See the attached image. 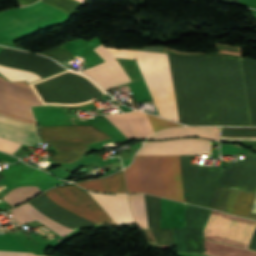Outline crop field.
<instances>
[{
  "instance_id": "obj_8",
  "label": "crop field",
  "mask_w": 256,
  "mask_h": 256,
  "mask_svg": "<svg viewBox=\"0 0 256 256\" xmlns=\"http://www.w3.org/2000/svg\"><path fill=\"white\" fill-rule=\"evenodd\" d=\"M41 105L32 90L0 80V112L35 123L30 106Z\"/></svg>"
},
{
  "instance_id": "obj_1",
  "label": "crop field",
  "mask_w": 256,
  "mask_h": 256,
  "mask_svg": "<svg viewBox=\"0 0 256 256\" xmlns=\"http://www.w3.org/2000/svg\"><path fill=\"white\" fill-rule=\"evenodd\" d=\"M137 59L162 117L188 125H251L238 57L175 55L106 48Z\"/></svg>"
},
{
  "instance_id": "obj_19",
  "label": "crop field",
  "mask_w": 256,
  "mask_h": 256,
  "mask_svg": "<svg viewBox=\"0 0 256 256\" xmlns=\"http://www.w3.org/2000/svg\"><path fill=\"white\" fill-rule=\"evenodd\" d=\"M252 125H256V62L241 58Z\"/></svg>"
},
{
  "instance_id": "obj_22",
  "label": "crop field",
  "mask_w": 256,
  "mask_h": 256,
  "mask_svg": "<svg viewBox=\"0 0 256 256\" xmlns=\"http://www.w3.org/2000/svg\"><path fill=\"white\" fill-rule=\"evenodd\" d=\"M129 198L139 228H148L143 194L129 195Z\"/></svg>"
},
{
  "instance_id": "obj_17",
  "label": "crop field",
  "mask_w": 256,
  "mask_h": 256,
  "mask_svg": "<svg viewBox=\"0 0 256 256\" xmlns=\"http://www.w3.org/2000/svg\"><path fill=\"white\" fill-rule=\"evenodd\" d=\"M219 132V127H182L167 129L160 133L153 134L148 139H169L184 136H196L218 141Z\"/></svg>"
},
{
  "instance_id": "obj_11",
  "label": "crop field",
  "mask_w": 256,
  "mask_h": 256,
  "mask_svg": "<svg viewBox=\"0 0 256 256\" xmlns=\"http://www.w3.org/2000/svg\"><path fill=\"white\" fill-rule=\"evenodd\" d=\"M105 117L128 139L147 137L154 133L147 115L137 110Z\"/></svg>"
},
{
  "instance_id": "obj_12",
  "label": "crop field",
  "mask_w": 256,
  "mask_h": 256,
  "mask_svg": "<svg viewBox=\"0 0 256 256\" xmlns=\"http://www.w3.org/2000/svg\"><path fill=\"white\" fill-rule=\"evenodd\" d=\"M0 137L30 146L38 141L35 125L3 114H0Z\"/></svg>"
},
{
  "instance_id": "obj_25",
  "label": "crop field",
  "mask_w": 256,
  "mask_h": 256,
  "mask_svg": "<svg viewBox=\"0 0 256 256\" xmlns=\"http://www.w3.org/2000/svg\"><path fill=\"white\" fill-rule=\"evenodd\" d=\"M229 190L227 188L216 187L210 208L223 211Z\"/></svg>"
},
{
  "instance_id": "obj_27",
  "label": "crop field",
  "mask_w": 256,
  "mask_h": 256,
  "mask_svg": "<svg viewBox=\"0 0 256 256\" xmlns=\"http://www.w3.org/2000/svg\"><path fill=\"white\" fill-rule=\"evenodd\" d=\"M148 117L150 119V122H151L152 127H153L155 132L159 131V130L166 129V128H170V127L183 126L181 124L174 123V122H171V121H168V120H164V119H161V118H158V117H155V116L148 115Z\"/></svg>"
},
{
  "instance_id": "obj_26",
  "label": "crop field",
  "mask_w": 256,
  "mask_h": 256,
  "mask_svg": "<svg viewBox=\"0 0 256 256\" xmlns=\"http://www.w3.org/2000/svg\"><path fill=\"white\" fill-rule=\"evenodd\" d=\"M40 54L52 57L58 62L75 58V56L71 52H69L63 45L44 51Z\"/></svg>"
},
{
  "instance_id": "obj_4",
  "label": "crop field",
  "mask_w": 256,
  "mask_h": 256,
  "mask_svg": "<svg viewBox=\"0 0 256 256\" xmlns=\"http://www.w3.org/2000/svg\"><path fill=\"white\" fill-rule=\"evenodd\" d=\"M82 75L67 70L33 83L31 87L43 105H79L106 94L91 79Z\"/></svg>"
},
{
  "instance_id": "obj_29",
  "label": "crop field",
  "mask_w": 256,
  "mask_h": 256,
  "mask_svg": "<svg viewBox=\"0 0 256 256\" xmlns=\"http://www.w3.org/2000/svg\"><path fill=\"white\" fill-rule=\"evenodd\" d=\"M0 256H39L32 253H22V252H3L0 251Z\"/></svg>"
},
{
  "instance_id": "obj_10",
  "label": "crop field",
  "mask_w": 256,
  "mask_h": 256,
  "mask_svg": "<svg viewBox=\"0 0 256 256\" xmlns=\"http://www.w3.org/2000/svg\"><path fill=\"white\" fill-rule=\"evenodd\" d=\"M217 186L256 192V155L248 152L246 160L227 165Z\"/></svg>"
},
{
  "instance_id": "obj_7",
  "label": "crop field",
  "mask_w": 256,
  "mask_h": 256,
  "mask_svg": "<svg viewBox=\"0 0 256 256\" xmlns=\"http://www.w3.org/2000/svg\"><path fill=\"white\" fill-rule=\"evenodd\" d=\"M45 194L56 204L93 223L112 220L88 193L76 185L57 187Z\"/></svg>"
},
{
  "instance_id": "obj_23",
  "label": "crop field",
  "mask_w": 256,
  "mask_h": 256,
  "mask_svg": "<svg viewBox=\"0 0 256 256\" xmlns=\"http://www.w3.org/2000/svg\"><path fill=\"white\" fill-rule=\"evenodd\" d=\"M0 73L6 76L11 81L27 80L29 84L41 79L40 77L36 76L31 72L10 68L6 66H1V65H0Z\"/></svg>"
},
{
  "instance_id": "obj_21",
  "label": "crop field",
  "mask_w": 256,
  "mask_h": 256,
  "mask_svg": "<svg viewBox=\"0 0 256 256\" xmlns=\"http://www.w3.org/2000/svg\"><path fill=\"white\" fill-rule=\"evenodd\" d=\"M221 140H256V128L222 127Z\"/></svg>"
},
{
  "instance_id": "obj_18",
  "label": "crop field",
  "mask_w": 256,
  "mask_h": 256,
  "mask_svg": "<svg viewBox=\"0 0 256 256\" xmlns=\"http://www.w3.org/2000/svg\"><path fill=\"white\" fill-rule=\"evenodd\" d=\"M79 186L98 192L127 193L123 170L109 177L77 183Z\"/></svg>"
},
{
  "instance_id": "obj_2",
  "label": "crop field",
  "mask_w": 256,
  "mask_h": 256,
  "mask_svg": "<svg viewBox=\"0 0 256 256\" xmlns=\"http://www.w3.org/2000/svg\"><path fill=\"white\" fill-rule=\"evenodd\" d=\"M137 154L211 155V141L180 139L145 142ZM186 202L210 207L223 170L190 165L181 156ZM180 156L135 155L125 168L128 192H144L185 202Z\"/></svg>"
},
{
  "instance_id": "obj_3",
  "label": "crop field",
  "mask_w": 256,
  "mask_h": 256,
  "mask_svg": "<svg viewBox=\"0 0 256 256\" xmlns=\"http://www.w3.org/2000/svg\"><path fill=\"white\" fill-rule=\"evenodd\" d=\"M211 210L186 204L184 228L172 229L178 252L215 256H256V252L204 240ZM256 221L212 210L204 238L249 247Z\"/></svg>"
},
{
  "instance_id": "obj_15",
  "label": "crop field",
  "mask_w": 256,
  "mask_h": 256,
  "mask_svg": "<svg viewBox=\"0 0 256 256\" xmlns=\"http://www.w3.org/2000/svg\"><path fill=\"white\" fill-rule=\"evenodd\" d=\"M10 211L15 216L13 218L21 224H24L26 222L37 219L61 236H64L73 230L71 228H68V227L48 218L47 216H45L44 214L39 212L37 209H35L28 202L10 210Z\"/></svg>"
},
{
  "instance_id": "obj_24",
  "label": "crop field",
  "mask_w": 256,
  "mask_h": 256,
  "mask_svg": "<svg viewBox=\"0 0 256 256\" xmlns=\"http://www.w3.org/2000/svg\"><path fill=\"white\" fill-rule=\"evenodd\" d=\"M60 11L71 15L82 3L76 0H40Z\"/></svg>"
},
{
  "instance_id": "obj_28",
  "label": "crop field",
  "mask_w": 256,
  "mask_h": 256,
  "mask_svg": "<svg viewBox=\"0 0 256 256\" xmlns=\"http://www.w3.org/2000/svg\"><path fill=\"white\" fill-rule=\"evenodd\" d=\"M20 146L21 144L0 138V150H4L13 154V152Z\"/></svg>"
},
{
  "instance_id": "obj_16",
  "label": "crop field",
  "mask_w": 256,
  "mask_h": 256,
  "mask_svg": "<svg viewBox=\"0 0 256 256\" xmlns=\"http://www.w3.org/2000/svg\"><path fill=\"white\" fill-rule=\"evenodd\" d=\"M256 193L231 189L226 203V212L256 218V213H251Z\"/></svg>"
},
{
  "instance_id": "obj_33",
  "label": "crop field",
  "mask_w": 256,
  "mask_h": 256,
  "mask_svg": "<svg viewBox=\"0 0 256 256\" xmlns=\"http://www.w3.org/2000/svg\"><path fill=\"white\" fill-rule=\"evenodd\" d=\"M78 1H80V2H82V3L84 2V0H78Z\"/></svg>"
},
{
  "instance_id": "obj_6",
  "label": "crop field",
  "mask_w": 256,
  "mask_h": 256,
  "mask_svg": "<svg viewBox=\"0 0 256 256\" xmlns=\"http://www.w3.org/2000/svg\"><path fill=\"white\" fill-rule=\"evenodd\" d=\"M68 15L41 2L30 7L0 12V35L11 40L22 38L43 27L61 23Z\"/></svg>"
},
{
  "instance_id": "obj_30",
  "label": "crop field",
  "mask_w": 256,
  "mask_h": 256,
  "mask_svg": "<svg viewBox=\"0 0 256 256\" xmlns=\"http://www.w3.org/2000/svg\"><path fill=\"white\" fill-rule=\"evenodd\" d=\"M18 2H20L21 4H23V5H30V4H32V3H34V2H36V1H38V0H17ZM16 1V2H17Z\"/></svg>"
},
{
  "instance_id": "obj_9",
  "label": "crop field",
  "mask_w": 256,
  "mask_h": 256,
  "mask_svg": "<svg viewBox=\"0 0 256 256\" xmlns=\"http://www.w3.org/2000/svg\"><path fill=\"white\" fill-rule=\"evenodd\" d=\"M105 62L82 71L92 77L104 89L131 82L124 69L116 58L109 53L103 45L93 49Z\"/></svg>"
},
{
  "instance_id": "obj_14",
  "label": "crop field",
  "mask_w": 256,
  "mask_h": 256,
  "mask_svg": "<svg viewBox=\"0 0 256 256\" xmlns=\"http://www.w3.org/2000/svg\"><path fill=\"white\" fill-rule=\"evenodd\" d=\"M144 197H145L148 225H149V228H151L158 244H163V243L175 244L172 230L160 229L161 199L147 196V195H144Z\"/></svg>"
},
{
  "instance_id": "obj_20",
  "label": "crop field",
  "mask_w": 256,
  "mask_h": 256,
  "mask_svg": "<svg viewBox=\"0 0 256 256\" xmlns=\"http://www.w3.org/2000/svg\"><path fill=\"white\" fill-rule=\"evenodd\" d=\"M40 193L41 191L37 186H21L13 189L3 199L15 207Z\"/></svg>"
},
{
  "instance_id": "obj_13",
  "label": "crop field",
  "mask_w": 256,
  "mask_h": 256,
  "mask_svg": "<svg viewBox=\"0 0 256 256\" xmlns=\"http://www.w3.org/2000/svg\"><path fill=\"white\" fill-rule=\"evenodd\" d=\"M89 193L101 204L117 224H125L135 221L130 211L127 194L100 195L93 192Z\"/></svg>"
},
{
  "instance_id": "obj_32",
  "label": "crop field",
  "mask_w": 256,
  "mask_h": 256,
  "mask_svg": "<svg viewBox=\"0 0 256 256\" xmlns=\"http://www.w3.org/2000/svg\"><path fill=\"white\" fill-rule=\"evenodd\" d=\"M252 212H256V201H255V204H254V207H253V211Z\"/></svg>"
},
{
  "instance_id": "obj_31",
  "label": "crop field",
  "mask_w": 256,
  "mask_h": 256,
  "mask_svg": "<svg viewBox=\"0 0 256 256\" xmlns=\"http://www.w3.org/2000/svg\"><path fill=\"white\" fill-rule=\"evenodd\" d=\"M145 231L148 236H150L154 241H156L150 229H146Z\"/></svg>"
},
{
  "instance_id": "obj_5",
  "label": "crop field",
  "mask_w": 256,
  "mask_h": 256,
  "mask_svg": "<svg viewBox=\"0 0 256 256\" xmlns=\"http://www.w3.org/2000/svg\"><path fill=\"white\" fill-rule=\"evenodd\" d=\"M40 130L42 140L57 150L51 158L57 163L73 162L87 151V144L110 138L90 125L40 127Z\"/></svg>"
}]
</instances>
